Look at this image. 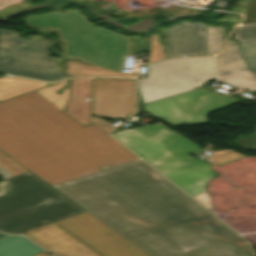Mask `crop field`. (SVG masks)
Instances as JSON below:
<instances>
[{"mask_svg":"<svg viewBox=\"0 0 256 256\" xmlns=\"http://www.w3.org/2000/svg\"><path fill=\"white\" fill-rule=\"evenodd\" d=\"M90 215L84 212L55 223L102 256H148Z\"/></svg>","mask_w":256,"mask_h":256,"instance_id":"8","label":"crop field"},{"mask_svg":"<svg viewBox=\"0 0 256 256\" xmlns=\"http://www.w3.org/2000/svg\"><path fill=\"white\" fill-rule=\"evenodd\" d=\"M222 49H223L222 27H206L207 55L219 53Z\"/></svg>","mask_w":256,"mask_h":256,"instance_id":"17","label":"crop field"},{"mask_svg":"<svg viewBox=\"0 0 256 256\" xmlns=\"http://www.w3.org/2000/svg\"><path fill=\"white\" fill-rule=\"evenodd\" d=\"M134 111V80L93 79L92 115L124 119Z\"/></svg>","mask_w":256,"mask_h":256,"instance_id":"9","label":"crop field"},{"mask_svg":"<svg viewBox=\"0 0 256 256\" xmlns=\"http://www.w3.org/2000/svg\"><path fill=\"white\" fill-rule=\"evenodd\" d=\"M239 47L249 68L256 73V42L239 44Z\"/></svg>","mask_w":256,"mask_h":256,"instance_id":"19","label":"crop field"},{"mask_svg":"<svg viewBox=\"0 0 256 256\" xmlns=\"http://www.w3.org/2000/svg\"><path fill=\"white\" fill-rule=\"evenodd\" d=\"M148 79L137 80L143 103L190 91L215 78L213 56L170 59L147 65Z\"/></svg>","mask_w":256,"mask_h":256,"instance_id":"5","label":"crop field"},{"mask_svg":"<svg viewBox=\"0 0 256 256\" xmlns=\"http://www.w3.org/2000/svg\"><path fill=\"white\" fill-rule=\"evenodd\" d=\"M90 95V79H72L71 99L65 113L82 125L89 122L90 102H85L84 97H90Z\"/></svg>","mask_w":256,"mask_h":256,"instance_id":"13","label":"crop field"},{"mask_svg":"<svg viewBox=\"0 0 256 256\" xmlns=\"http://www.w3.org/2000/svg\"><path fill=\"white\" fill-rule=\"evenodd\" d=\"M52 84L5 75L0 78V102Z\"/></svg>","mask_w":256,"mask_h":256,"instance_id":"14","label":"crop field"},{"mask_svg":"<svg viewBox=\"0 0 256 256\" xmlns=\"http://www.w3.org/2000/svg\"><path fill=\"white\" fill-rule=\"evenodd\" d=\"M28 172L26 168L0 151V176L4 179Z\"/></svg>","mask_w":256,"mask_h":256,"instance_id":"18","label":"crop field"},{"mask_svg":"<svg viewBox=\"0 0 256 256\" xmlns=\"http://www.w3.org/2000/svg\"><path fill=\"white\" fill-rule=\"evenodd\" d=\"M19 38L0 28V72L43 81L64 79L59 58L47 56V40L41 36Z\"/></svg>","mask_w":256,"mask_h":256,"instance_id":"6","label":"crop field"},{"mask_svg":"<svg viewBox=\"0 0 256 256\" xmlns=\"http://www.w3.org/2000/svg\"><path fill=\"white\" fill-rule=\"evenodd\" d=\"M256 23V0H249L245 19L241 24Z\"/></svg>","mask_w":256,"mask_h":256,"instance_id":"24","label":"crop field"},{"mask_svg":"<svg viewBox=\"0 0 256 256\" xmlns=\"http://www.w3.org/2000/svg\"><path fill=\"white\" fill-rule=\"evenodd\" d=\"M217 62L218 77L223 82L243 91H256V74L247 68L235 41L228 40L226 51L217 56Z\"/></svg>","mask_w":256,"mask_h":256,"instance_id":"12","label":"crop field"},{"mask_svg":"<svg viewBox=\"0 0 256 256\" xmlns=\"http://www.w3.org/2000/svg\"><path fill=\"white\" fill-rule=\"evenodd\" d=\"M42 251L22 236H8L0 240V256H33Z\"/></svg>","mask_w":256,"mask_h":256,"instance_id":"15","label":"crop field"},{"mask_svg":"<svg viewBox=\"0 0 256 256\" xmlns=\"http://www.w3.org/2000/svg\"><path fill=\"white\" fill-rule=\"evenodd\" d=\"M84 211L30 172L0 182V231L21 233Z\"/></svg>","mask_w":256,"mask_h":256,"instance_id":"3","label":"crop field"},{"mask_svg":"<svg viewBox=\"0 0 256 256\" xmlns=\"http://www.w3.org/2000/svg\"><path fill=\"white\" fill-rule=\"evenodd\" d=\"M159 38V34L151 35V51L149 54V62L165 59L163 43H159Z\"/></svg>","mask_w":256,"mask_h":256,"instance_id":"21","label":"crop field"},{"mask_svg":"<svg viewBox=\"0 0 256 256\" xmlns=\"http://www.w3.org/2000/svg\"><path fill=\"white\" fill-rule=\"evenodd\" d=\"M233 33L239 43L256 41V25L237 27Z\"/></svg>","mask_w":256,"mask_h":256,"instance_id":"20","label":"crop field"},{"mask_svg":"<svg viewBox=\"0 0 256 256\" xmlns=\"http://www.w3.org/2000/svg\"><path fill=\"white\" fill-rule=\"evenodd\" d=\"M69 68L67 72L77 77H94V76H125L134 77V73H115L99 67L86 66L78 63L77 61H66Z\"/></svg>","mask_w":256,"mask_h":256,"instance_id":"16","label":"crop field"},{"mask_svg":"<svg viewBox=\"0 0 256 256\" xmlns=\"http://www.w3.org/2000/svg\"><path fill=\"white\" fill-rule=\"evenodd\" d=\"M92 122L94 125H96L97 127H99L100 129H102L103 131H105L106 133H109V131L114 128L115 126L109 124L107 121H105L104 119H100V118H95L92 117Z\"/></svg>","mask_w":256,"mask_h":256,"instance_id":"25","label":"crop field"},{"mask_svg":"<svg viewBox=\"0 0 256 256\" xmlns=\"http://www.w3.org/2000/svg\"><path fill=\"white\" fill-rule=\"evenodd\" d=\"M113 136L200 204L212 209L205 193L206 181L217 175L207 163L188 155L201 151L195 143L159 124L120 131Z\"/></svg>","mask_w":256,"mask_h":256,"instance_id":"2","label":"crop field"},{"mask_svg":"<svg viewBox=\"0 0 256 256\" xmlns=\"http://www.w3.org/2000/svg\"><path fill=\"white\" fill-rule=\"evenodd\" d=\"M164 49L166 58L206 55L205 25L200 22H181L167 29Z\"/></svg>","mask_w":256,"mask_h":256,"instance_id":"11","label":"crop field"},{"mask_svg":"<svg viewBox=\"0 0 256 256\" xmlns=\"http://www.w3.org/2000/svg\"><path fill=\"white\" fill-rule=\"evenodd\" d=\"M69 81L0 103V150L149 256H251L244 239L93 124L63 113ZM68 198V199H69Z\"/></svg>","mask_w":256,"mask_h":256,"instance_id":"1","label":"crop field"},{"mask_svg":"<svg viewBox=\"0 0 256 256\" xmlns=\"http://www.w3.org/2000/svg\"><path fill=\"white\" fill-rule=\"evenodd\" d=\"M187 104L189 113L180 105ZM234 104L225 96L211 93L203 88L171 96L145 104L146 112L167 120L171 124L208 121L205 117L211 111Z\"/></svg>","mask_w":256,"mask_h":256,"instance_id":"7","label":"crop field"},{"mask_svg":"<svg viewBox=\"0 0 256 256\" xmlns=\"http://www.w3.org/2000/svg\"><path fill=\"white\" fill-rule=\"evenodd\" d=\"M214 156L206 157L209 158L213 165H218L224 162H228L237 158L244 157L232 150L214 152Z\"/></svg>","mask_w":256,"mask_h":256,"instance_id":"22","label":"crop field"},{"mask_svg":"<svg viewBox=\"0 0 256 256\" xmlns=\"http://www.w3.org/2000/svg\"><path fill=\"white\" fill-rule=\"evenodd\" d=\"M21 234L31 238L54 256H100L54 223Z\"/></svg>","mask_w":256,"mask_h":256,"instance_id":"10","label":"crop field"},{"mask_svg":"<svg viewBox=\"0 0 256 256\" xmlns=\"http://www.w3.org/2000/svg\"><path fill=\"white\" fill-rule=\"evenodd\" d=\"M6 236H8V235L1 234V233H0V239H1V238H4V237H6Z\"/></svg>","mask_w":256,"mask_h":256,"instance_id":"28","label":"crop field"},{"mask_svg":"<svg viewBox=\"0 0 256 256\" xmlns=\"http://www.w3.org/2000/svg\"><path fill=\"white\" fill-rule=\"evenodd\" d=\"M245 150H256V134L233 141Z\"/></svg>","mask_w":256,"mask_h":256,"instance_id":"23","label":"crop field"},{"mask_svg":"<svg viewBox=\"0 0 256 256\" xmlns=\"http://www.w3.org/2000/svg\"><path fill=\"white\" fill-rule=\"evenodd\" d=\"M32 28H57L65 42L64 55L121 72L129 54L128 38L87 22L78 10L52 12L26 18Z\"/></svg>","mask_w":256,"mask_h":256,"instance_id":"4","label":"crop field"},{"mask_svg":"<svg viewBox=\"0 0 256 256\" xmlns=\"http://www.w3.org/2000/svg\"><path fill=\"white\" fill-rule=\"evenodd\" d=\"M22 2V0H0V10L14 3Z\"/></svg>","mask_w":256,"mask_h":256,"instance_id":"26","label":"crop field"},{"mask_svg":"<svg viewBox=\"0 0 256 256\" xmlns=\"http://www.w3.org/2000/svg\"><path fill=\"white\" fill-rule=\"evenodd\" d=\"M35 256H50V255L46 254L45 252H42V253L37 254V255H35Z\"/></svg>","mask_w":256,"mask_h":256,"instance_id":"27","label":"crop field"}]
</instances>
